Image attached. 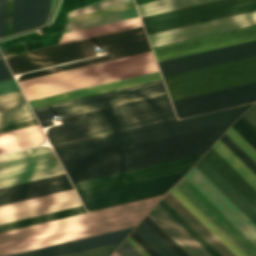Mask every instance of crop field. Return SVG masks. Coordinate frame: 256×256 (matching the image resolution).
I'll return each mask as SVG.
<instances>
[{
  "label": "crop field",
  "instance_id": "crop-field-1",
  "mask_svg": "<svg viewBox=\"0 0 256 256\" xmlns=\"http://www.w3.org/2000/svg\"><path fill=\"white\" fill-rule=\"evenodd\" d=\"M241 106L56 148L67 174L217 140Z\"/></svg>",
  "mask_w": 256,
  "mask_h": 256
},
{
  "label": "crop field",
  "instance_id": "crop-field-2",
  "mask_svg": "<svg viewBox=\"0 0 256 256\" xmlns=\"http://www.w3.org/2000/svg\"><path fill=\"white\" fill-rule=\"evenodd\" d=\"M160 197L0 233V256L136 226Z\"/></svg>",
  "mask_w": 256,
  "mask_h": 256
},
{
  "label": "crop field",
  "instance_id": "crop-field-3",
  "mask_svg": "<svg viewBox=\"0 0 256 256\" xmlns=\"http://www.w3.org/2000/svg\"><path fill=\"white\" fill-rule=\"evenodd\" d=\"M100 46H103L106 51H110L111 54L91 58L88 61L78 62L69 66H60L33 73L22 74L18 78V81L151 50L143 27L140 26L17 55L15 56L17 62L10 63L9 66L13 74L45 68L63 63V60L66 59L82 57V55H84L83 52L95 50Z\"/></svg>",
  "mask_w": 256,
  "mask_h": 256
},
{
  "label": "crop field",
  "instance_id": "crop-field-4",
  "mask_svg": "<svg viewBox=\"0 0 256 256\" xmlns=\"http://www.w3.org/2000/svg\"><path fill=\"white\" fill-rule=\"evenodd\" d=\"M185 176L256 244V225L212 182L195 166ZM185 176L175 187L246 256H256V245Z\"/></svg>",
  "mask_w": 256,
  "mask_h": 256
},
{
  "label": "crop field",
  "instance_id": "crop-field-5",
  "mask_svg": "<svg viewBox=\"0 0 256 256\" xmlns=\"http://www.w3.org/2000/svg\"><path fill=\"white\" fill-rule=\"evenodd\" d=\"M156 70L155 60L149 51L20 81L19 84L30 100Z\"/></svg>",
  "mask_w": 256,
  "mask_h": 256
},
{
  "label": "crop field",
  "instance_id": "crop-field-6",
  "mask_svg": "<svg viewBox=\"0 0 256 256\" xmlns=\"http://www.w3.org/2000/svg\"><path fill=\"white\" fill-rule=\"evenodd\" d=\"M172 101L256 81V56L163 77Z\"/></svg>",
  "mask_w": 256,
  "mask_h": 256
},
{
  "label": "crop field",
  "instance_id": "crop-field-7",
  "mask_svg": "<svg viewBox=\"0 0 256 256\" xmlns=\"http://www.w3.org/2000/svg\"><path fill=\"white\" fill-rule=\"evenodd\" d=\"M256 10V0H218L141 18L148 34Z\"/></svg>",
  "mask_w": 256,
  "mask_h": 256
},
{
  "label": "crop field",
  "instance_id": "crop-field-8",
  "mask_svg": "<svg viewBox=\"0 0 256 256\" xmlns=\"http://www.w3.org/2000/svg\"><path fill=\"white\" fill-rule=\"evenodd\" d=\"M47 147H37L0 156V167L53 156ZM64 171L55 156L14 166L0 168V187L63 174Z\"/></svg>",
  "mask_w": 256,
  "mask_h": 256
},
{
  "label": "crop field",
  "instance_id": "crop-field-9",
  "mask_svg": "<svg viewBox=\"0 0 256 256\" xmlns=\"http://www.w3.org/2000/svg\"><path fill=\"white\" fill-rule=\"evenodd\" d=\"M168 95H161L92 112L66 117L62 124L50 127L46 135L60 133L68 130L91 126L99 123L122 119L130 116L170 108Z\"/></svg>",
  "mask_w": 256,
  "mask_h": 256
},
{
  "label": "crop field",
  "instance_id": "crop-field-10",
  "mask_svg": "<svg viewBox=\"0 0 256 256\" xmlns=\"http://www.w3.org/2000/svg\"><path fill=\"white\" fill-rule=\"evenodd\" d=\"M186 173V172H185ZM185 173L164 176L139 183L80 196L86 210L141 200L164 194Z\"/></svg>",
  "mask_w": 256,
  "mask_h": 256
},
{
  "label": "crop field",
  "instance_id": "crop-field-11",
  "mask_svg": "<svg viewBox=\"0 0 256 256\" xmlns=\"http://www.w3.org/2000/svg\"><path fill=\"white\" fill-rule=\"evenodd\" d=\"M167 93L162 82L34 111L39 122Z\"/></svg>",
  "mask_w": 256,
  "mask_h": 256
},
{
  "label": "crop field",
  "instance_id": "crop-field-12",
  "mask_svg": "<svg viewBox=\"0 0 256 256\" xmlns=\"http://www.w3.org/2000/svg\"><path fill=\"white\" fill-rule=\"evenodd\" d=\"M202 155L79 182L73 185L78 195H81L164 175L185 172L188 171Z\"/></svg>",
  "mask_w": 256,
  "mask_h": 256
},
{
  "label": "crop field",
  "instance_id": "crop-field-13",
  "mask_svg": "<svg viewBox=\"0 0 256 256\" xmlns=\"http://www.w3.org/2000/svg\"><path fill=\"white\" fill-rule=\"evenodd\" d=\"M256 101V82L204 95L174 101L178 118Z\"/></svg>",
  "mask_w": 256,
  "mask_h": 256
},
{
  "label": "crop field",
  "instance_id": "crop-field-14",
  "mask_svg": "<svg viewBox=\"0 0 256 256\" xmlns=\"http://www.w3.org/2000/svg\"><path fill=\"white\" fill-rule=\"evenodd\" d=\"M256 40V25L154 48L158 62Z\"/></svg>",
  "mask_w": 256,
  "mask_h": 256
},
{
  "label": "crop field",
  "instance_id": "crop-field-15",
  "mask_svg": "<svg viewBox=\"0 0 256 256\" xmlns=\"http://www.w3.org/2000/svg\"><path fill=\"white\" fill-rule=\"evenodd\" d=\"M185 207H187L218 239H220L236 256H245L225 235H223L192 203H190L175 187L170 191ZM170 192L162 199L177 212L206 242L221 256H235L220 240H218L187 208H185Z\"/></svg>",
  "mask_w": 256,
  "mask_h": 256
},
{
  "label": "crop field",
  "instance_id": "crop-field-16",
  "mask_svg": "<svg viewBox=\"0 0 256 256\" xmlns=\"http://www.w3.org/2000/svg\"><path fill=\"white\" fill-rule=\"evenodd\" d=\"M256 24V11L150 34L151 47H158L213 33Z\"/></svg>",
  "mask_w": 256,
  "mask_h": 256
},
{
  "label": "crop field",
  "instance_id": "crop-field-17",
  "mask_svg": "<svg viewBox=\"0 0 256 256\" xmlns=\"http://www.w3.org/2000/svg\"><path fill=\"white\" fill-rule=\"evenodd\" d=\"M74 189L0 206V224L80 206Z\"/></svg>",
  "mask_w": 256,
  "mask_h": 256
},
{
  "label": "crop field",
  "instance_id": "crop-field-18",
  "mask_svg": "<svg viewBox=\"0 0 256 256\" xmlns=\"http://www.w3.org/2000/svg\"><path fill=\"white\" fill-rule=\"evenodd\" d=\"M256 55V41L160 62L162 75L174 74L204 66Z\"/></svg>",
  "mask_w": 256,
  "mask_h": 256
},
{
  "label": "crop field",
  "instance_id": "crop-field-19",
  "mask_svg": "<svg viewBox=\"0 0 256 256\" xmlns=\"http://www.w3.org/2000/svg\"><path fill=\"white\" fill-rule=\"evenodd\" d=\"M214 142L192 146V147L179 149L175 151H170V152L157 154L149 157H144L140 159H135V160L122 162L114 165H109L105 167H100V168L87 170L83 172H78V173L70 174L68 176L72 181V183H75L83 180H88V179L97 178L105 175H110V174L119 173V172L132 170L136 168H141L149 165H154V164L163 163L171 160L198 155V154L205 153Z\"/></svg>",
  "mask_w": 256,
  "mask_h": 256
},
{
  "label": "crop field",
  "instance_id": "crop-field-20",
  "mask_svg": "<svg viewBox=\"0 0 256 256\" xmlns=\"http://www.w3.org/2000/svg\"><path fill=\"white\" fill-rule=\"evenodd\" d=\"M173 117H175L174 112L173 109L170 108L162 111H157L149 114H144L136 117H131L123 120L49 136L48 139L51 142L52 146H54Z\"/></svg>",
  "mask_w": 256,
  "mask_h": 256
},
{
  "label": "crop field",
  "instance_id": "crop-field-21",
  "mask_svg": "<svg viewBox=\"0 0 256 256\" xmlns=\"http://www.w3.org/2000/svg\"><path fill=\"white\" fill-rule=\"evenodd\" d=\"M159 79H161L159 72L156 71V72L143 74L135 77H130V78L108 82L100 85H95L91 87H86L78 90H73L65 93H60L52 96L30 100L29 103L32 109H34V108H39V107L52 105L60 102H65L73 99H78L86 96H91V95H95L103 92H108L116 89H121L129 86H134V85H138L146 82H151Z\"/></svg>",
  "mask_w": 256,
  "mask_h": 256
},
{
  "label": "crop field",
  "instance_id": "crop-field-22",
  "mask_svg": "<svg viewBox=\"0 0 256 256\" xmlns=\"http://www.w3.org/2000/svg\"><path fill=\"white\" fill-rule=\"evenodd\" d=\"M71 188L66 174L5 187L0 189V205Z\"/></svg>",
  "mask_w": 256,
  "mask_h": 256
},
{
  "label": "crop field",
  "instance_id": "crop-field-23",
  "mask_svg": "<svg viewBox=\"0 0 256 256\" xmlns=\"http://www.w3.org/2000/svg\"><path fill=\"white\" fill-rule=\"evenodd\" d=\"M134 228V227H133ZM133 228L72 241L12 256H62L122 242Z\"/></svg>",
  "mask_w": 256,
  "mask_h": 256
},
{
  "label": "crop field",
  "instance_id": "crop-field-24",
  "mask_svg": "<svg viewBox=\"0 0 256 256\" xmlns=\"http://www.w3.org/2000/svg\"><path fill=\"white\" fill-rule=\"evenodd\" d=\"M18 90L14 79L0 82V95ZM33 118L21 91L0 96V126Z\"/></svg>",
  "mask_w": 256,
  "mask_h": 256
},
{
  "label": "crop field",
  "instance_id": "crop-field-25",
  "mask_svg": "<svg viewBox=\"0 0 256 256\" xmlns=\"http://www.w3.org/2000/svg\"><path fill=\"white\" fill-rule=\"evenodd\" d=\"M163 229L189 256H211L158 204L147 214Z\"/></svg>",
  "mask_w": 256,
  "mask_h": 256
},
{
  "label": "crop field",
  "instance_id": "crop-field-26",
  "mask_svg": "<svg viewBox=\"0 0 256 256\" xmlns=\"http://www.w3.org/2000/svg\"><path fill=\"white\" fill-rule=\"evenodd\" d=\"M50 0H14L13 34L43 26Z\"/></svg>",
  "mask_w": 256,
  "mask_h": 256
},
{
  "label": "crop field",
  "instance_id": "crop-field-27",
  "mask_svg": "<svg viewBox=\"0 0 256 256\" xmlns=\"http://www.w3.org/2000/svg\"><path fill=\"white\" fill-rule=\"evenodd\" d=\"M203 158L256 208V190L225 160H223L212 148Z\"/></svg>",
  "mask_w": 256,
  "mask_h": 256
},
{
  "label": "crop field",
  "instance_id": "crop-field-28",
  "mask_svg": "<svg viewBox=\"0 0 256 256\" xmlns=\"http://www.w3.org/2000/svg\"><path fill=\"white\" fill-rule=\"evenodd\" d=\"M45 137L39 125L0 134V153L43 143Z\"/></svg>",
  "mask_w": 256,
  "mask_h": 256
},
{
  "label": "crop field",
  "instance_id": "crop-field-29",
  "mask_svg": "<svg viewBox=\"0 0 256 256\" xmlns=\"http://www.w3.org/2000/svg\"><path fill=\"white\" fill-rule=\"evenodd\" d=\"M195 166L256 224V211L203 158Z\"/></svg>",
  "mask_w": 256,
  "mask_h": 256
},
{
  "label": "crop field",
  "instance_id": "crop-field-30",
  "mask_svg": "<svg viewBox=\"0 0 256 256\" xmlns=\"http://www.w3.org/2000/svg\"><path fill=\"white\" fill-rule=\"evenodd\" d=\"M142 25L139 18H132V19H127L119 22H114L110 24H105L97 27H92L88 29H83L75 32H70L66 33L63 35V38L61 40L60 44L72 42V41H77L89 37H94L106 33H111L123 29H128L136 26Z\"/></svg>",
  "mask_w": 256,
  "mask_h": 256
},
{
  "label": "crop field",
  "instance_id": "crop-field-31",
  "mask_svg": "<svg viewBox=\"0 0 256 256\" xmlns=\"http://www.w3.org/2000/svg\"><path fill=\"white\" fill-rule=\"evenodd\" d=\"M135 16L137 15H136L135 9L133 8V9L111 13L103 16H98L90 19L76 21V22L66 24L64 33L87 28V27H92L96 25H101L109 22H114L122 19H127Z\"/></svg>",
  "mask_w": 256,
  "mask_h": 256
},
{
  "label": "crop field",
  "instance_id": "crop-field-32",
  "mask_svg": "<svg viewBox=\"0 0 256 256\" xmlns=\"http://www.w3.org/2000/svg\"><path fill=\"white\" fill-rule=\"evenodd\" d=\"M213 0H160L152 3H147L139 5L138 10L140 16L152 15L160 12H165L169 10H174L182 7H187L191 5H196L204 2H209Z\"/></svg>",
  "mask_w": 256,
  "mask_h": 256
},
{
  "label": "crop field",
  "instance_id": "crop-field-33",
  "mask_svg": "<svg viewBox=\"0 0 256 256\" xmlns=\"http://www.w3.org/2000/svg\"><path fill=\"white\" fill-rule=\"evenodd\" d=\"M83 206L0 225V232L84 213Z\"/></svg>",
  "mask_w": 256,
  "mask_h": 256
},
{
  "label": "crop field",
  "instance_id": "crop-field-34",
  "mask_svg": "<svg viewBox=\"0 0 256 256\" xmlns=\"http://www.w3.org/2000/svg\"><path fill=\"white\" fill-rule=\"evenodd\" d=\"M212 148L256 189V176L233 153H231L220 141H218Z\"/></svg>",
  "mask_w": 256,
  "mask_h": 256
},
{
  "label": "crop field",
  "instance_id": "crop-field-35",
  "mask_svg": "<svg viewBox=\"0 0 256 256\" xmlns=\"http://www.w3.org/2000/svg\"><path fill=\"white\" fill-rule=\"evenodd\" d=\"M134 230L161 256H178L143 221Z\"/></svg>",
  "mask_w": 256,
  "mask_h": 256
},
{
  "label": "crop field",
  "instance_id": "crop-field-36",
  "mask_svg": "<svg viewBox=\"0 0 256 256\" xmlns=\"http://www.w3.org/2000/svg\"><path fill=\"white\" fill-rule=\"evenodd\" d=\"M169 215H171L194 239H196L212 256H220L210 247L179 215H177L162 199L158 203Z\"/></svg>",
  "mask_w": 256,
  "mask_h": 256
},
{
  "label": "crop field",
  "instance_id": "crop-field-37",
  "mask_svg": "<svg viewBox=\"0 0 256 256\" xmlns=\"http://www.w3.org/2000/svg\"><path fill=\"white\" fill-rule=\"evenodd\" d=\"M231 127L256 150V128H254L243 116Z\"/></svg>",
  "mask_w": 256,
  "mask_h": 256
},
{
  "label": "crop field",
  "instance_id": "crop-field-38",
  "mask_svg": "<svg viewBox=\"0 0 256 256\" xmlns=\"http://www.w3.org/2000/svg\"><path fill=\"white\" fill-rule=\"evenodd\" d=\"M113 1H114V3H112V4H108V5L98 7L99 10L109 8V7L118 6V5H122V4L131 3V0H113ZM111 2H112V0H101V1H98V2H95V3L83 6L81 8H78L74 11L69 12L67 17L78 15V14H83V13H87V12L96 11V10H98L97 6L107 4V3H111Z\"/></svg>",
  "mask_w": 256,
  "mask_h": 256
},
{
  "label": "crop field",
  "instance_id": "crop-field-39",
  "mask_svg": "<svg viewBox=\"0 0 256 256\" xmlns=\"http://www.w3.org/2000/svg\"><path fill=\"white\" fill-rule=\"evenodd\" d=\"M158 234L179 256H188L164 231H162L147 215L143 220Z\"/></svg>",
  "mask_w": 256,
  "mask_h": 256
},
{
  "label": "crop field",
  "instance_id": "crop-field-40",
  "mask_svg": "<svg viewBox=\"0 0 256 256\" xmlns=\"http://www.w3.org/2000/svg\"><path fill=\"white\" fill-rule=\"evenodd\" d=\"M220 140L256 174V164L238 146L225 134Z\"/></svg>",
  "mask_w": 256,
  "mask_h": 256
},
{
  "label": "crop field",
  "instance_id": "crop-field-41",
  "mask_svg": "<svg viewBox=\"0 0 256 256\" xmlns=\"http://www.w3.org/2000/svg\"><path fill=\"white\" fill-rule=\"evenodd\" d=\"M225 134L256 163V151L246 141H244L231 127Z\"/></svg>",
  "mask_w": 256,
  "mask_h": 256
},
{
  "label": "crop field",
  "instance_id": "crop-field-42",
  "mask_svg": "<svg viewBox=\"0 0 256 256\" xmlns=\"http://www.w3.org/2000/svg\"><path fill=\"white\" fill-rule=\"evenodd\" d=\"M119 244L97 248L80 253H75L67 256H109Z\"/></svg>",
  "mask_w": 256,
  "mask_h": 256
},
{
  "label": "crop field",
  "instance_id": "crop-field-43",
  "mask_svg": "<svg viewBox=\"0 0 256 256\" xmlns=\"http://www.w3.org/2000/svg\"><path fill=\"white\" fill-rule=\"evenodd\" d=\"M132 7H135L134 4L120 6V7L111 8V9H106V10H101V11H97V12H93V13H89V14L69 18V19H67L66 23L76 21V20L85 19V18H89V17H94V16L106 14V13H111V12H115V11H119V10H124V9L132 8Z\"/></svg>",
  "mask_w": 256,
  "mask_h": 256
},
{
  "label": "crop field",
  "instance_id": "crop-field-44",
  "mask_svg": "<svg viewBox=\"0 0 256 256\" xmlns=\"http://www.w3.org/2000/svg\"><path fill=\"white\" fill-rule=\"evenodd\" d=\"M13 0H6L5 36L12 34Z\"/></svg>",
  "mask_w": 256,
  "mask_h": 256
},
{
  "label": "crop field",
  "instance_id": "crop-field-45",
  "mask_svg": "<svg viewBox=\"0 0 256 256\" xmlns=\"http://www.w3.org/2000/svg\"><path fill=\"white\" fill-rule=\"evenodd\" d=\"M138 243L150 256H160L150 245H148L134 230L129 235Z\"/></svg>",
  "mask_w": 256,
  "mask_h": 256
},
{
  "label": "crop field",
  "instance_id": "crop-field-46",
  "mask_svg": "<svg viewBox=\"0 0 256 256\" xmlns=\"http://www.w3.org/2000/svg\"><path fill=\"white\" fill-rule=\"evenodd\" d=\"M115 252L119 256H141L126 240Z\"/></svg>",
  "mask_w": 256,
  "mask_h": 256
},
{
  "label": "crop field",
  "instance_id": "crop-field-47",
  "mask_svg": "<svg viewBox=\"0 0 256 256\" xmlns=\"http://www.w3.org/2000/svg\"><path fill=\"white\" fill-rule=\"evenodd\" d=\"M174 120H176V119L173 118V119H169V120H165V121H161V122H156V123H152V124H148V125H144V126L127 129V130H122V131H118V132H114V133H110V134H106V135H101V136H97V137H93V138H89V139H84V140H80V141H76V142H72V143H67V144H63V145H59V146L54 145L55 147H53V148L64 146V145H69V144H73V143H78V142H82V141H86V140H91V139H95V138H100V137H104V136H108V135H113V134H117V133H122V132L130 131V130H135V129H139V128H144V127H148V126H152V125H157V124H161V123H166V122H170V121H174Z\"/></svg>",
  "mask_w": 256,
  "mask_h": 256
},
{
  "label": "crop field",
  "instance_id": "crop-field-48",
  "mask_svg": "<svg viewBox=\"0 0 256 256\" xmlns=\"http://www.w3.org/2000/svg\"><path fill=\"white\" fill-rule=\"evenodd\" d=\"M38 124L36 119L0 127V133Z\"/></svg>",
  "mask_w": 256,
  "mask_h": 256
},
{
  "label": "crop field",
  "instance_id": "crop-field-49",
  "mask_svg": "<svg viewBox=\"0 0 256 256\" xmlns=\"http://www.w3.org/2000/svg\"><path fill=\"white\" fill-rule=\"evenodd\" d=\"M13 78L8 67L0 55V81Z\"/></svg>",
  "mask_w": 256,
  "mask_h": 256
},
{
  "label": "crop field",
  "instance_id": "crop-field-50",
  "mask_svg": "<svg viewBox=\"0 0 256 256\" xmlns=\"http://www.w3.org/2000/svg\"><path fill=\"white\" fill-rule=\"evenodd\" d=\"M254 127H256V103L243 115Z\"/></svg>",
  "mask_w": 256,
  "mask_h": 256
},
{
  "label": "crop field",
  "instance_id": "crop-field-51",
  "mask_svg": "<svg viewBox=\"0 0 256 256\" xmlns=\"http://www.w3.org/2000/svg\"><path fill=\"white\" fill-rule=\"evenodd\" d=\"M5 0H0V37L4 36Z\"/></svg>",
  "mask_w": 256,
  "mask_h": 256
},
{
  "label": "crop field",
  "instance_id": "crop-field-52",
  "mask_svg": "<svg viewBox=\"0 0 256 256\" xmlns=\"http://www.w3.org/2000/svg\"><path fill=\"white\" fill-rule=\"evenodd\" d=\"M142 256H149L141 247H139L129 236L126 239Z\"/></svg>",
  "mask_w": 256,
  "mask_h": 256
},
{
  "label": "crop field",
  "instance_id": "crop-field-53",
  "mask_svg": "<svg viewBox=\"0 0 256 256\" xmlns=\"http://www.w3.org/2000/svg\"><path fill=\"white\" fill-rule=\"evenodd\" d=\"M160 81H162V80H159V81H155V82H151V83H156V82H160ZM151 83H146V84H142V85H147V84H151ZM142 85H138V86H142ZM138 86H134V87H138ZM134 87H129V88H134ZM129 88H125V89H129ZM125 89H121V90H125ZM116 91H120V90H116ZM116 91H112V92H116ZM108 93H111V92H108ZM103 94H107V93H103ZM99 95H102V94H99ZM95 96H98V95H95ZM91 97H94V96H91ZM86 98H89V97H86ZM82 99H85V98H82ZM78 100H80V99H78ZM73 101H76V100H73ZM69 102H71V101H69ZM65 103H67V102H65ZM60 104H62V103H60ZM56 105H58V104H56ZM48 106V105H47ZM52 106H54V105H52ZM49 107V106H48ZM43 108H45V107H43ZM35 109V108H34ZM40 109V108H39ZM36 110V109H35Z\"/></svg>",
  "mask_w": 256,
  "mask_h": 256
},
{
  "label": "crop field",
  "instance_id": "crop-field-54",
  "mask_svg": "<svg viewBox=\"0 0 256 256\" xmlns=\"http://www.w3.org/2000/svg\"><path fill=\"white\" fill-rule=\"evenodd\" d=\"M136 1V4L139 5V4H143V3H147V2H152V1H156V0H135Z\"/></svg>",
  "mask_w": 256,
  "mask_h": 256
},
{
  "label": "crop field",
  "instance_id": "crop-field-55",
  "mask_svg": "<svg viewBox=\"0 0 256 256\" xmlns=\"http://www.w3.org/2000/svg\"><path fill=\"white\" fill-rule=\"evenodd\" d=\"M42 127L52 125L51 121L40 123Z\"/></svg>",
  "mask_w": 256,
  "mask_h": 256
},
{
  "label": "crop field",
  "instance_id": "crop-field-56",
  "mask_svg": "<svg viewBox=\"0 0 256 256\" xmlns=\"http://www.w3.org/2000/svg\"><path fill=\"white\" fill-rule=\"evenodd\" d=\"M54 1H55V0H51L50 10H51V8H52V5H53Z\"/></svg>",
  "mask_w": 256,
  "mask_h": 256
},
{
  "label": "crop field",
  "instance_id": "crop-field-57",
  "mask_svg": "<svg viewBox=\"0 0 256 256\" xmlns=\"http://www.w3.org/2000/svg\"><path fill=\"white\" fill-rule=\"evenodd\" d=\"M111 256H118L115 252Z\"/></svg>",
  "mask_w": 256,
  "mask_h": 256
}]
</instances>
